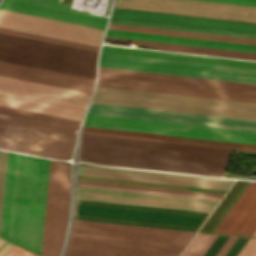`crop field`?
I'll use <instances>...</instances> for the list:
<instances>
[{
  "label": "crop field",
  "mask_w": 256,
  "mask_h": 256,
  "mask_svg": "<svg viewBox=\"0 0 256 256\" xmlns=\"http://www.w3.org/2000/svg\"><path fill=\"white\" fill-rule=\"evenodd\" d=\"M111 17L256 33V24L114 8Z\"/></svg>",
  "instance_id": "bc2a9ffb"
},
{
  "label": "crop field",
  "mask_w": 256,
  "mask_h": 256,
  "mask_svg": "<svg viewBox=\"0 0 256 256\" xmlns=\"http://www.w3.org/2000/svg\"><path fill=\"white\" fill-rule=\"evenodd\" d=\"M210 213L75 199L73 218L198 231Z\"/></svg>",
  "instance_id": "e52e79f7"
},
{
  "label": "crop field",
  "mask_w": 256,
  "mask_h": 256,
  "mask_svg": "<svg viewBox=\"0 0 256 256\" xmlns=\"http://www.w3.org/2000/svg\"><path fill=\"white\" fill-rule=\"evenodd\" d=\"M96 102L256 119V103L97 86Z\"/></svg>",
  "instance_id": "dd49c442"
},
{
  "label": "crop field",
  "mask_w": 256,
  "mask_h": 256,
  "mask_svg": "<svg viewBox=\"0 0 256 256\" xmlns=\"http://www.w3.org/2000/svg\"><path fill=\"white\" fill-rule=\"evenodd\" d=\"M255 230L256 182L251 181L214 233L251 237Z\"/></svg>",
  "instance_id": "214f88e0"
},
{
  "label": "crop field",
  "mask_w": 256,
  "mask_h": 256,
  "mask_svg": "<svg viewBox=\"0 0 256 256\" xmlns=\"http://www.w3.org/2000/svg\"><path fill=\"white\" fill-rule=\"evenodd\" d=\"M108 28L121 29V30H130V31H139V32H148V33H157V34L176 35V36H185V37H194V38H203V39H212V40H221V41H230V42H239V43H248V44H256V40H250V39L213 36V35L177 32V31L150 29V28H140V27L113 25V24H109Z\"/></svg>",
  "instance_id": "ae1a2a85"
},
{
  "label": "crop field",
  "mask_w": 256,
  "mask_h": 256,
  "mask_svg": "<svg viewBox=\"0 0 256 256\" xmlns=\"http://www.w3.org/2000/svg\"><path fill=\"white\" fill-rule=\"evenodd\" d=\"M75 129L0 115V148L69 159Z\"/></svg>",
  "instance_id": "5a996713"
},
{
  "label": "crop field",
  "mask_w": 256,
  "mask_h": 256,
  "mask_svg": "<svg viewBox=\"0 0 256 256\" xmlns=\"http://www.w3.org/2000/svg\"><path fill=\"white\" fill-rule=\"evenodd\" d=\"M98 85L256 102V94L100 77Z\"/></svg>",
  "instance_id": "92a150f3"
},
{
  "label": "crop field",
  "mask_w": 256,
  "mask_h": 256,
  "mask_svg": "<svg viewBox=\"0 0 256 256\" xmlns=\"http://www.w3.org/2000/svg\"><path fill=\"white\" fill-rule=\"evenodd\" d=\"M0 32L1 33H6V34H11V35H16V36H22V37L37 39V40H43V41H48V42H53V43H58V44H64V45L84 48V49L95 50V51H97V49H98V47H96V46H91V45H86V44H81V43H75V42H70V41L45 37V36H39V35H34V34L9 30V29L0 28Z\"/></svg>",
  "instance_id": "bd1437ed"
},
{
  "label": "crop field",
  "mask_w": 256,
  "mask_h": 256,
  "mask_svg": "<svg viewBox=\"0 0 256 256\" xmlns=\"http://www.w3.org/2000/svg\"><path fill=\"white\" fill-rule=\"evenodd\" d=\"M12 246L13 244L0 238V256L5 254Z\"/></svg>",
  "instance_id": "b54c1fbb"
},
{
  "label": "crop field",
  "mask_w": 256,
  "mask_h": 256,
  "mask_svg": "<svg viewBox=\"0 0 256 256\" xmlns=\"http://www.w3.org/2000/svg\"><path fill=\"white\" fill-rule=\"evenodd\" d=\"M87 113L256 131V120L92 102Z\"/></svg>",
  "instance_id": "22f410ed"
},
{
  "label": "crop field",
  "mask_w": 256,
  "mask_h": 256,
  "mask_svg": "<svg viewBox=\"0 0 256 256\" xmlns=\"http://www.w3.org/2000/svg\"><path fill=\"white\" fill-rule=\"evenodd\" d=\"M91 94L0 76V104L81 119Z\"/></svg>",
  "instance_id": "d8731c3e"
},
{
  "label": "crop field",
  "mask_w": 256,
  "mask_h": 256,
  "mask_svg": "<svg viewBox=\"0 0 256 256\" xmlns=\"http://www.w3.org/2000/svg\"><path fill=\"white\" fill-rule=\"evenodd\" d=\"M0 75L15 77L19 79L91 92L92 79L56 73L0 61Z\"/></svg>",
  "instance_id": "dafd665d"
},
{
  "label": "crop field",
  "mask_w": 256,
  "mask_h": 256,
  "mask_svg": "<svg viewBox=\"0 0 256 256\" xmlns=\"http://www.w3.org/2000/svg\"><path fill=\"white\" fill-rule=\"evenodd\" d=\"M81 179L133 184V185H143V186H153V187H162V188H172V189H181V190L201 191V192H210V193H220V194H225L226 192L222 190H212V189H202V188H192V187H182V186H172V185H162V184H152V183H141V182H131V181H121V180H111V179H101V178H91V177H81Z\"/></svg>",
  "instance_id": "1d83c4d3"
},
{
  "label": "crop field",
  "mask_w": 256,
  "mask_h": 256,
  "mask_svg": "<svg viewBox=\"0 0 256 256\" xmlns=\"http://www.w3.org/2000/svg\"><path fill=\"white\" fill-rule=\"evenodd\" d=\"M4 256H37L17 246H13Z\"/></svg>",
  "instance_id": "c035e120"
},
{
  "label": "crop field",
  "mask_w": 256,
  "mask_h": 256,
  "mask_svg": "<svg viewBox=\"0 0 256 256\" xmlns=\"http://www.w3.org/2000/svg\"><path fill=\"white\" fill-rule=\"evenodd\" d=\"M109 23L256 39V34L111 18Z\"/></svg>",
  "instance_id": "730fd06b"
},
{
  "label": "crop field",
  "mask_w": 256,
  "mask_h": 256,
  "mask_svg": "<svg viewBox=\"0 0 256 256\" xmlns=\"http://www.w3.org/2000/svg\"><path fill=\"white\" fill-rule=\"evenodd\" d=\"M0 113L17 116V117H22V118H27V119H32V120H37V121L58 124V125H63V126H68V127H73V128L77 127V124L79 123L78 120H73V119H68V118H63V117H58V116H52V115H47V114H42V113L12 108V107H6V106H1V105H0Z\"/></svg>",
  "instance_id": "eef30255"
},
{
  "label": "crop field",
  "mask_w": 256,
  "mask_h": 256,
  "mask_svg": "<svg viewBox=\"0 0 256 256\" xmlns=\"http://www.w3.org/2000/svg\"><path fill=\"white\" fill-rule=\"evenodd\" d=\"M236 239L237 237L230 236L216 256H224Z\"/></svg>",
  "instance_id": "03da06ac"
},
{
  "label": "crop field",
  "mask_w": 256,
  "mask_h": 256,
  "mask_svg": "<svg viewBox=\"0 0 256 256\" xmlns=\"http://www.w3.org/2000/svg\"><path fill=\"white\" fill-rule=\"evenodd\" d=\"M50 160L8 152L0 235L40 254ZM42 173H44L42 175Z\"/></svg>",
  "instance_id": "ac0d7876"
},
{
  "label": "crop field",
  "mask_w": 256,
  "mask_h": 256,
  "mask_svg": "<svg viewBox=\"0 0 256 256\" xmlns=\"http://www.w3.org/2000/svg\"><path fill=\"white\" fill-rule=\"evenodd\" d=\"M75 175L125 179L134 181L174 184L183 186L213 188L228 190L229 186L234 180L231 179H217L208 177H199L182 174L151 172L120 168H89L82 167L76 169Z\"/></svg>",
  "instance_id": "d9b57169"
},
{
  "label": "crop field",
  "mask_w": 256,
  "mask_h": 256,
  "mask_svg": "<svg viewBox=\"0 0 256 256\" xmlns=\"http://www.w3.org/2000/svg\"><path fill=\"white\" fill-rule=\"evenodd\" d=\"M82 132L117 135V136H127V137H137V138H147V139H156V140H165V141H173V142H182V143H191V144H200V145H209V146L256 151V145L204 140V139H195V138H186V137H177V136H168V135H159V134H150V133H141V132L88 127V126H84L82 129Z\"/></svg>",
  "instance_id": "a9b5d70f"
},
{
  "label": "crop field",
  "mask_w": 256,
  "mask_h": 256,
  "mask_svg": "<svg viewBox=\"0 0 256 256\" xmlns=\"http://www.w3.org/2000/svg\"><path fill=\"white\" fill-rule=\"evenodd\" d=\"M103 47L256 64V62H252V61H242V60H232V59H222V58H212V57H202V56H192V55H182V54H175V53H169V52H160V51L135 50V49L111 47V46H107V45H103Z\"/></svg>",
  "instance_id": "5866460e"
},
{
  "label": "crop field",
  "mask_w": 256,
  "mask_h": 256,
  "mask_svg": "<svg viewBox=\"0 0 256 256\" xmlns=\"http://www.w3.org/2000/svg\"><path fill=\"white\" fill-rule=\"evenodd\" d=\"M72 177L64 162L51 160L42 256H58L67 223Z\"/></svg>",
  "instance_id": "28ad6ade"
},
{
  "label": "crop field",
  "mask_w": 256,
  "mask_h": 256,
  "mask_svg": "<svg viewBox=\"0 0 256 256\" xmlns=\"http://www.w3.org/2000/svg\"><path fill=\"white\" fill-rule=\"evenodd\" d=\"M77 198L212 212L219 201L79 187Z\"/></svg>",
  "instance_id": "5142ce71"
},
{
  "label": "crop field",
  "mask_w": 256,
  "mask_h": 256,
  "mask_svg": "<svg viewBox=\"0 0 256 256\" xmlns=\"http://www.w3.org/2000/svg\"><path fill=\"white\" fill-rule=\"evenodd\" d=\"M230 149L82 133L78 160L222 177Z\"/></svg>",
  "instance_id": "8a807250"
},
{
  "label": "crop field",
  "mask_w": 256,
  "mask_h": 256,
  "mask_svg": "<svg viewBox=\"0 0 256 256\" xmlns=\"http://www.w3.org/2000/svg\"><path fill=\"white\" fill-rule=\"evenodd\" d=\"M205 1H214V2H223V3H233V4L256 6V0H205Z\"/></svg>",
  "instance_id": "c21b1889"
},
{
  "label": "crop field",
  "mask_w": 256,
  "mask_h": 256,
  "mask_svg": "<svg viewBox=\"0 0 256 256\" xmlns=\"http://www.w3.org/2000/svg\"><path fill=\"white\" fill-rule=\"evenodd\" d=\"M248 238L238 237L225 256H236Z\"/></svg>",
  "instance_id": "b80d0937"
},
{
  "label": "crop field",
  "mask_w": 256,
  "mask_h": 256,
  "mask_svg": "<svg viewBox=\"0 0 256 256\" xmlns=\"http://www.w3.org/2000/svg\"><path fill=\"white\" fill-rule=\"evenodd\" d=\"M6 156H7V152L0 150V211H1L4 175H5Z\"/></svg>",
  "instance_id": "0bd39190"
},
{
  "label": "crop field",
  "mask_w": 256,
  "mask_h": 256,
  "mask_svg": "<svg viewBox=\"0 0 256 256\" xmlns=\"http://www.w3.org/2000/svg\"><path fill=\"white\" fill-rule=\"evenodd\" d=\"M97 52L0 33V60L94 79Z\"/></svg>",
  "instance_id": "f4fd0767"
},
{
  "label": "crop field",
  "mask_w": 256,
  "mask_h": 256,
  "mask_svg": "<svg viewBox=\"0 0 256 256\" xmlns=\"http://www.w3.org/2000/svg\"><path fill=\"white\" fill-rule=\"evenodd\" d=\"M57 1L58 0H3L0 4V9L104 29L107 18L68 9L69 6L59 4Z\"/></svg>",
  "instance_id": "733c2abd"
},
{
  "label": "crop field",
  "mask_w": 256,
  "mask_h": 256,
  "mask_svg": "<svg viewBox=\"0 0 256 256\" xmlns=\"http://www.w3.org/2000/svg\"><path fill=\"white\" fill-rule=\"evenodd\" d=\"M100 76L256 93V84L99 67Z\"/></svg>",
  "instance_id": "4a817a6b"
},
{
  "label": "crop field",
  "mask_w": 256,
  "mask_h": 256,
  "mask_svg": "<svg viewBox=\"0 0 256 256\" xmlns=\"http://www.w3.org/2000/svg\"><path fill=\"white\" fill-rule=\"evenodd\" d=\"M106 38L124 40V41H133V42H137V45L154 46V47H157L159 50H165V51L186 52V53H196V54H206V55H216V56L256 60L255 53L236 52V51H227V50H218V49H209V48H200V47H191V46L110 38V37H106Z\"/></svg>",
  "instance_id": "4177f3b9"
},
{
  "label": "crop field",
  "mask_w": 256,
  "mask_h": 256,
  "mask_svg": "<svg viewBox=\"0 0 256 256\" xmlns=\"http://www.w3.org/2000/svg\"><path fill=\"white\" fill-rule=\"evenodd\" d=\"M237 256H256V239L249 238Z\"/></svg>",
  "instance_id": "e1f06a70"
},
{
  "label": "crop field",
  "mask_w": 256,
  "mask_h": 256,
  "mask_svg": "<svg viewBox=\"0 0 256 256\" xmlns=\"http://www.w3.org/2000/svg\"><path fill=\"white\" fill-rule=\"evenodd\" d=\"M106 36L256 53V45H248V44H239V43H230V42H221V41H212V40H203V39H194V38L167 36V35H157V34L130 32V31H121V30H112V29H108Z\"/></svg>",
  "instance_id": "00972430"
},
{
  "label": "crop field",
  "mask_w": 256,
  "mask_h": 256,
  "mask_svg": "<svg viewBox=\"0 0 256 256\" xmlns=\"http://www.w3.org/2000/svg\"><path fill=\"white\" fill-rule=\"evenodd\" d=\"M75 185L92 186V187H101V188H111V189H120V190H130V191H139V192H149V193H159V194H168V195H178V196H187V197H197V198H206V199L221 200V198H218V197H208V196H198V195H188V194H178V193H168V192H158V191H148V190H139V189H129V188H119V187H109V186H99V185H89V184H79V183H75Z\"/></svg>",
  "instance_id": "d32e631a"
},
{
  "label": "crop field",
  "mask_w": 256,
  "mask_h": 256,
  "mask_svg": "<svg viewBox=\"0 0 256 256\" xmlns=\"http://www.w3.org/2000/svg\"><path fill=\"white\" fill-rule=\"evenodd\" d=\"M252 237H256V231H255V233L252 235Z\"/></svg>",
  "instance_id": "5d738f31"
},
{
  "label": "crop field",
  "mask_w": 256,
  "mask_h": 256,
  "mask_svg": "<svg viewBox=\"0 0 256 256\" xmlns=\"http://www.w3.org/2000/svg\"><path fill=\"white\" fill-rule=\"evenodd\" d=\"M217 235L197 233L181 256H202Z\"/></svg>",
  "instance_id": "750c4746"
},
{
  "label": "crop field",
  "mask_w": 256,
  "mask_h": 256,
  "mask_svg": "<svg viewBox=\"0 0 256 256\" xmlns=\"http://www.w3.org/2000/svg\"><path fill=\"white\" fill-rule=\"evenodd\" d=\"M0 27L99 46L102 29L0 10Z\"/></svg>",
  "instance_id": "cbeb9de0"
},
{
  "label": "crop field",
  "mask_w": 256,
  "mask_h": 256,
  "mask_svg": "<svg viewBox=\"0 0 256 256\" xmlns=\"http://www.w3.org/2000/svg\"><path fill=\"white\" fill-rule=\"evenodd\" d=\"M114 7L256 23V7L196 0H117Z\"/></svg>",
  "instance_id": "d1516ede"
},
{
  "label": "crop field",
  "mask_w": 256,
  "mask_h": 256,
  "mask_svg": "<svg viewBox=\"0 0 256 256\" xmlns=\"http://www.w3.org/2000/svg\"><path fill=\"white\" fill-rule=\"evenodd\" d=\"M99 66L256 83V65L252 64L107 48L101 51Z\"/></svg>",
  "instance_id": "412701ff"
},
{
  "label": "crop field",
  "mask_w": 256,
  "mask_h": 256,
  "mask_svg": "<svg viewBox=\"0 0 256 256\" xmlns=\"http://www.w3.org/2000/svg\"><path fill=\"white\" fill-rule=\"evenodd\" d=\"M246 183V181L242 180H236V182L233 184V186L230 188L228 193L225 195V197L222 199V201L219 203L217 208L214 210V212L211 214L209 219L206 221V223L203 225V227L200 229V231L204 232H210V230L213 228V226L216 224L218 219L221 217V215L224 213V211L227 209L229 204L232 202V200L235 198L237 193L240 191V189L243 187V185Z\"/></svg>",
  "instance_id": "d3111659"
},
{
  "label": "crop field",
  "mask_w": 256,
  "mask_h": 256,
  "mask_svg": "<svg viewBox=\"0 0 256 256\" xmlns=\"http://www.w3.org/2000/svg\"><path fill=\"white\" fill-rule=\"evenodd\" d=\"M84 125L256 144V132L87 114Z\"/></svg>",
  "instance_id": "3316defc"
},
{
  "label": "crop field",
  "mask_w": 256,
  "mask_h": 256,
  "mask_svg": "<svg viewBox=\"0 0 256 256\" xmlns=\"http://www.w3.org/2000/svg\"><path fill=\"white\" fill-rule=\"evenodd\" d=\"M195 234L74 220L65 256H179Z\"/></svg>",
  "instance_id": "34b2d1b8"
},
{
  "label": "crop field",
  "mask_w": 256,
  "mask_h": 256,
  "mask_svg": "<svg viewBox=\"0 0 256 256\" xmlns=\"http://www.w3.org/2000/svg\"><path fill=\"white\" fill-rule=\"evenodd\" d=\"M78 182L223 197V195H220V194H210V193L180 191V190L161 189V188H151V187H141V186H131V185L112 184V183H102V182H92V181H82V180H78Z\"/></svg>",
  "instance_id": "120bbe31"
},
{
  "label": "crop field",
  "mask_w": 256,
  "mask_h": 256,
  "mask_svg": "<svg viewBox=\"0 0 256 256\" xmlns=\"http://www.w3.org/2000/svg\"><path fill=\"white\" fill-rule=\"evenodd\" d=\"M228 237L229 236L218 235V237L215 239V241L212 243V245L209 247V249L203 256H214L217 253V251L221 248V246L225 243V241L228 239Z\"/></svg>",
  "instance_id": "028f5c9d"
}]
</instances>
